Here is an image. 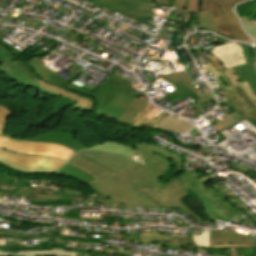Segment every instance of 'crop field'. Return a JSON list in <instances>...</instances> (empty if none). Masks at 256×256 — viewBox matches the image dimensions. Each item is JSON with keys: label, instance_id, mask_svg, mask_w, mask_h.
Wrapping results in <instances>:
<instances>
[{"label": "crop field", "instance_id": "b54c1fbb", "mask_svg": "<svg viewBox=\"0 0 256 256\" xmlns=\"http://www.w3.org/2000/svg\"><path fill=\"white\" fill-rule=\"evenodd\" d=\"M70 31H72V29H70V28H68V30L67 31H65V33H69Z\"/></svg>", "mask_w": 256, "mask_h": 256}, {"label": "crop field", "instance_id": "28ad6ade", "mask_svg": "<svg viewBox=\"0 0 256 256\" xmlns=\"http://www.w3.org/2000/svg\"><path fill=\"white\" fill-rule=\"evenodd\" d=\"M6 239H0V256H35L53 255V256H75L76 252L72 249H66L67 244L57 243L50 246L7 248L5 247Z\"/></svg>", "mask_w": 256, "mask_h": 256}, {"label": "crop field", "instance_id": "4177f3b9", "mask_svg": "<svg viewBox=\"0 0 256 256\" xmlns=\"http://www.w3.org/2000/svg\"><path fill=\"white\" fill-rule=\"evenodd\" d=\"M65 162L56 160L54 158H49L38 170L33 174H51L58 171Z\"/></svg>", "mask_w": 256, "mask_h": 256}, {"label": "crop field", "instance_id": "a9b5d70f", "mask_svg": "<svg viewBox=\"0 0 256 256\" xmlns=\"http://www.w3.org/2000/svg\"><path fill=\"white\" fill-rule=\"evenodd\" d=\"M198 30L218 32L210 10L198 13Z\"/></svg>", "mask_w": 256, "mask_h": 256}, {"label": "crop field", "instance_id": "03da06ac", "mask_svg": "<svg viewBox=\"0 0 256 256\" xmlns=\"http://www.w3.org/2000/svg\"><path fill=\"white\" fill-rule=\"evenodd\" d=\"M0 51L7 52V50H5L4 47H2L1 45H0Z\"/></svg>", "mask_w": 256, "mask_h": 256}, {"label": "crop field", "instance_id": "ae1a2a85", "mask_svg": "<svg viewBox=\"0 0 256 256\" xmlns=\"http://www.w3.org/2000/svg\"><path fill=\"white\" fill-rule=\"evenodd\" d=\"M209 231L207 229H204L202 234L199 236L191 235L195 245L200 247H209Z\"/></svg>", "mask_w": 256, "mask_h": 256}, {"label": "crop field", "instance_id": "d9b57169", "mask_svg": "<svg viewBox=\"0 0 256 256\" xmlns=\"http://www.w3.org/2000/svg\"><path fill=\"white\" fill-rule=\"evenodd\" d=\"M35 58L37 57H33L30 58L27 61V63L30 65V67L33 69V71L35 73H37L39 76H41L44 80L56 84V85H60L62 87H64L65 85H67L68 82H70L71 80H73L76 76H78L81 72H83V70L79 69L76 72L72 71L71 69H66L67 74L71 75L72 77L70 79H68L67 81L64 80L63 78L59 77L58 75H56L54 71L50 70L49 68H47L46 66L42 65L38 60H36Z\"/></svg>", "mask_w": 256, "mask_h": 256}, {"label": "crop field", "instance_id": "f4fd0767", "mask_svg": "<svg viewBox=\"0 0 256 256\" xmlns=\"http://www.w3.org/2000/svg\"><path fill=\"white\" fill-rule=\"evenodd\" d=\"M133 207H159L138 188L151 187L145 171L137 163L109 175Z\"/></svg>", "mask_w": 256, "mask_h": 256}, {"label": "crop field", "instance_id": "c035e120", "mask_svg": "<svg viewBox=\"0 0 256 256\" xmlns=\"http://www.w3.org/2000/svg\"><path fill=\"white\" fill-rule=\"evenodd\" d=\"M80 33H76V34H74L71 38H70V40L68 41L69 43H71V42H73L74 40H75V38L79 35Z\"/></svg>", "mask_w": 256, "mask_h": 256}, {"label": "crop field", "instance_id": "8a807250", "mask_svg": "<svg viewBox=\"0 0 256 256\" xmlns=\"http://www.w3.org/2000/svg\"><path fill=\"white\" fill-rule=\"evenodd\" d=\"M133 146L136 147L142 155L144 164L140 165L148 174L152 185L150 190H140L148 195L160 207H180L186 210L188 214L198 221L200 218L180 201L181 199L186 198L189 193L178 177L172 179L165 185L162 182H158V179L169 170V162L166 159L170 158L176 164L175 168L177 170L174 171L173 174H180L185 171L180 167L184 165V163L178 158L174 157L172 154L152 148L150 146L137 143Z\"/></svg>", "mask_w": 256, "mask_h": 256}, {"label": "crop field", "instance_id": "b80d0937", "mask_svg": "<svg viewBox=\"0 0 256 256\" xmlns=\"http://www.w3.org/2000/svg\"><path fill=\"white\" fill-rule=\"evenodd\" d=\"M158 2H164V3H166V4H169V5H171V6H173V0H157Z\"/></svg>", "mask_w": 256, "mask_h": 256}, {"label": "crop field", "instance_id": "5a996713", "mask_svg": "<svg viewBox=\"0 0 256 256\" xmlns=\"http://www.w3.org/2000/svg\"><path fill=\"white\" fill-rule=\"evenodd\" d=\"M244 0H202L201 11L211 9L219 33L240 40L252 42L241 29V26L231 10V6Z\"/></svg>", "mask_w": 256, "mask_h": 256}, {"label": "crop field", "instance_id": "22f410ed", "mask_svg": "<svg viewBox=\"0 0 256 256\" xmlns=\"http://www.w3.org/2000/svg\"><path fill=\"white\" fill-rule=\"evenodd\" d=\"M211 53L219 58L224 68L234 67L245 63L244 52L242 48L235 43L215 46Z\"/></svg>", "mask_w": 256, "mask_h": 256}, {"label": "crop field", "instance_id": "92a150f3", "mask_svg": "<svg viewBox=\"0 0 256 256\" xmlns=\"http://www.w3.org/2000/svg\"><path fill=\"white\" fill-rule=\"evenodd\" d=\"M147 105L148 102L134 99L125 110V112L122 114V116L119 118L118 122L127 123L132 126Z\"/></svg>", "mask_w": 256, "mask_h": 256}, {"label": "crop field", "instance_id": "34b2d1b8", "mask_svg": "<svg viewBox=\"0 0 256 256\" xmlns=\"http://www.w3.org/2000/svg\"><path fill=\"white\" fill-rule=\"evenodd\" d=\"M93 96L98 102L97 114L117 121L137 95L130 83L116 71Z\"/></svg>", "mask_w": 256, "mask_h": 256}, {"label": "crop field", "instance_id": "412701ff", "mask_svg": "<svg viewBox=\"0 0 256 256\" xmlns=\"http://www.w3.org/2000/svg\"><path fill=\"white\" fill-rule=\"evenodd\" d=\"M14 112L0 105V147L10 152L39 155V156H53L55 158L67 161L75 152L71 151L65 146L40 142H29L21 140H13L8 136L2 135L6 119Z\"/></svg>", "mask_w": 256, "mask_h": 256}, {"label": "crop field", "instance_id": "dafd665d", "mask_svg": "<svg viewBox=\"0 0 256 256\" xmlns=\"http://www.w3.org/2000/svg\"><path fill=\"white\" fill-rule=\"evenodd\" d=\"M90 150H97V151H104V152H108V153H112V154H119L122 156H127L130 157L133 155V152L135 151V149H133L132 147L126 146V145H122V144H118L115 142H105L102 144H97L93 147L88 148Z\"/></svg>", "mask_w": 256, "mask_h": 256}, {"label": "crop field", "instance_id": "e52e79f7", "mask_svg": "<svg viewBox=\"0 0 256 256\" xmlns=\"http://www.w3.org/2000/svg\"><path fill=\"white\" fill-rule=\"evenodd\" d=\"M187 190H191L199 200L203 203L204 213L212 220L218 217L225 219L226 222L232 213H236L235 208L225 201L212 186L206 188L201 180L192 176L191 173L185 171L179 175Z\"/></svg>", "mask_w": 256, "mask_h": 256}, {"label": "crop field", "instance_id": "d8731c3e", "mask_svg": "<svg viewBox=\"0 0 256 256\" xmlns=\"http://www.w3.org/2000/svg\"><path fill=\"white\" fill-rule=\"evenodd\" d=\"M68 162L85 169L98 179L135 163L127 158L90 151H80Z\"/></svg>", "mask_w": 256, "mask_h": 256}, {"label": "crop field", "instance_id": "bc2a9ffb", "mask_svg": "<svg viewBox=\"0 0 256 256\" xmlns=\"http://www.w3.org/2000/svg\"><path fill=\"white\" fill-rule=\"evenodd\" d=\"M29 141L57 143V144L65 145L76 152L79 149H87L75 140L73 134L67 133V132H55L51 134H45V135L37 136L33 139H29Z\"/></svg>", "mask_w": 256, "mask_h": 256}, {"label": "crop field", "instance_id": "120bbe31", "mask_svg": "<svg viewBox=\"0 0 256 256\" xmlns=\"http://www.w3.org/2000/svg\"><path fill=\"white\" fill-rule=\"evenodd\" d=\"M239 44V43H238ZM245 51V56H246V63L252 61L253 57V49L249 46L239 44Z\"/></svg>", "mask_w": 256, "mask_h": 256}, {"label": "crop field", "instance_id": "d32e631a", "mask_svg": "<svg viewBox=\"0 0 256 256\" xmlns=\"http://www.w3.org/2000/svg\"><path fill=\"white\" fill-rule=\"evenodd\" d=\"M168 95H169V96H167V97H168L169 99H171L172 101H173L174 99H176L178 96L181 97V98L184 99V100H185L187 97H189V96H187L186 94H184L182 91H180L179 89H177V90H175V91L169 93Z\"/></svg>", "mask_w": 256, "mask_h": 256}, {"label": "crop field", "instance_id": "0bd39190", "mask_svg": "<svg viewBox=\"0 0 256 256\" xmlns=\"http://www.w3.org/2000/svg\"><path fill=\"white\" fill-rule=\"evenodd\" d=\"M0 162H2V161H0ZM2 163H4V162H2ZM4 164H6V163H4ZM6 165H8V166H10V167H12V168H14V169H17V170L23 171V172H25V173H33L32 171L23 170V169H20V168H17V167L11 166V165H9V164H6Z\"/></svg>", "mask_w": 256, "mask_h": 256}, {"label": "crop field", "instance_id": "25e5ab78", "mask_svg": "<svg viewBox=\"0 0 256 256\" xmlns=\"http://www.w3.org/2000/svg\"><path fill=\"white\" fill-rule=\"evenodd\" d=\"M255 105H256V103H255Z\"/></svg>", "mask_w": 256, "mask_h": 256}, {"label": "crop field", "instance_id": "028f5c9d", "mask_svg": "<svg viewBox=\"0 0 256 256\" xmlns=\"http://www.w3.org/2000/svg\"><path fill=\"white\" fill-rule=\"evenodd\" d=\"M210 61L215 65V67L218 69V70H221V69H224L220 63V61L218 60V58L212 56V57H209Z\"/></svg>", "mask_w": 256, "mask_h": 256}, {"label": "crop field", "instance_id": "214f88e0", "mask_svg": "<svg viewBox=\"0 0 256 256\" xmlns=\"http://www.w3.org/2000/svg\"><path fill=\"white\" fill-rule=\"evenodd\" d=\"M192 127H194V126H192V125H190L172 115L167 116V118H164L160 122L151 126V128H154V129L179 132V133H183Z\"/></svg>", "mask_w": 256, "mask_h": 256}, {"label": "crop field", "instance_id": "5866460e", "mask_svg": "<svg viewBox=\"0 0 256 256\" xmlns=\"http://www.w3.org/2000/svg\"><path fill=\"white\" fill-rule=\"evenodd\" d=\"M18 25L34 29L38 25V23L29 20H20Z\"/></svg>", "mask_w": 256, "mask_h": 256}, {"label": "crop field", "instance_id": "eef30255", "mask_svg": "<svg viewBox=\"0 0 256 256\" xmlns=\"http://www.w3.org/2000/svg\"><path fill=\"white\" fill-rule=\"evenodd\" d=\"M179 82H181L182 84H184L185 86H187L188 88H190L191 90H193L194 92L197 93L196 89L194 88V86L192 85V83L190 82V80L188 79V77L182 78ZM198 94V93H197ZM198 100L197 103H195L194 105H192L191 107L194 108L195 106H197L198 104L204 102L207 105L210 104V100H212L211 96L209 94L204 95V96H198L196 97ZM191 108V109H192ZM190 110V109H189Z\"/></svg>", "mask_w": 256, "mask_h": 256}, {"label": "crop field", "instance_id": "5142ce71", "mask_svg": "<svg viewBox=\"0 0 256 256\" xmlns=\"http://www.w3.org/2000/svg\"><path fill=\"white\" fill-rule=\"evenodd\" d=\"M92 184L97 188V190L103 195L105 199H98L95 201L103 202V203H114L121 202L129 207L132 205L129 201L124 197V195L120 192L114 182H112L108 176L92 182Z\"/></svg>", "mask_w": 256, "mask_h": 256}, {"label": "crop field", "instance_id": "ac0d7876", "mask_svg": "<svg viewBox=\"0 0 256 256\" xmlns=\"http://www.w3.org/2000/svg\"><path fill=\"white\" fill-rule=\"evenodd\" d=\"M0 73L29 87L38 89L42 92L53 94L57 97H67L76 103L72 106L75 109L91 110L93 102L87 97H83L64 89L51 86L31 73L27 65L16 59L9 53L0 52Z\"/></svg>", "mask_w": 256, "mask_h": 256}, {"label": "crop field", "instance_id": "4a817a6b", "mask_svg": "<svg viewBox=\"0 0 256 256\" xmlns=\"http://www.w3.org/2000/svg\"><path fill=\"white\" fill-rule=\"evenodd\" d=\"M140 241L143 243H158V244H169L174 246H187L194 247L195 245L191 238H173L171 234L159 233V232H146L139 235ZM156 240V242H152ZM196 249V248H195Z\"/></svg>", "mask_w": 256, "mask_h": 256}, {"label": "crop field", "instance_id": "cbeb9de0", "mask_svg": "<svg viewBox=\"0 0 256 256\" xmlns=\"http://www.w3.org/2000/svg\"><path fill=\"white\" fill-rule=\"evenodd\" d=\"M221 72L230 85L248 81L251 88L256 93V68L253 62L242 66L225 69Z\"/></svg>", "mask_w": 256, "mask_h": 256}, {"label": "crop field", "instance_id": "750c4746", "mask_svg": "<svg viewBox=\"0 0 256 256\" xmlns=\"http://www.w3.org/2000/svg\"><path fill=\"white\" fill-rule=\"evenodd\" d=\"M243 25L245 27V29L247 30V32L253 36L254 38H256V23L249 21L247 19H242ZM255 49V65H256V47H254Z\"/></svg>", "mask_w": 256, "mask_h": 256}, {"label": "crop field", "instance_id": "e1f06a70", "mask_svg": "<svg viewBox=\"0 0 256 256\" xmlns=\"http://www.w3.org/2000/svg\"><path fill=\"white\" fill-rule=\"evenodd\" d=\"M4 36H5V34H3V33L0 32V41H1L5 46H7L13 53H15L17 56H19V55H20V54H18L19 52L17 53L15 49H13V48H12L11 46H9L7 43H5L4 41L1 40ZM21 58H23V59L26 60V58H24L22 55H21Z\"/></svg>", "mask_w": 256, "mask_h": 256}, {"label": "crop field", "instance_id": "00972430", "mask_svg": "<svg viewBox=\"0 0 256 256\" xmlns=\"http://www.w3.org/2000/svg\"><path fill=\"white\" fill-rule=\"evenodd\" d=\"M56 173L68 175L86 184L96 180L89 173L67 163Z\"/></svg>", "mask_w": 256, "mask_h": 256}, {"label": "crop field", "instance_id": "5d738f31", "mask_svg": "<svg viewBox=\"0 0 256 256\" xmlns=\"http://www.w3.org/2000/svg\"><path fill=\"white\" fill-rule=\"evenodd\" d=\"M12 14H13V13L9 12L7 16H8V17H11V16H12Z\"/></svg>", "mask_w": 256, "mask_h": 256}, {"label": "crop field", "instance_id": "bd1437ed", "mask_svg": "<svg viewBox=\"0 0 256 256\" xmlns=\"http://www.w3.org/2000/svg\"><path fill=\"white\" fill-rule=\"evenodd\" d=\"M0 235H7V236H31V235H21V234H16V233H11L7 231L0 230ZM32 239H60L62 240L63 238H58V237H48V236H32Z\"/></svg>", "mask_w": 256, "mask_h": 256}, {"label": "crop field", "instance_id": "d1516ede", "mask_svg": "<svg viewBox=\"0 0 256 256\" xmlns=\"http://www.w3.org/2000/svg\"><path fill=\"white\" fill-rule=\"evenodd\" d=\"M256 245L248 238L231 231H211L210 248H252Z\"/></svg>", "mask_w": 256, "mask_h": 256}, {"label": "crop field", "instance_id": "c21b1889", "mask_svg": "<svg viewBox=\"0 0 256 256\" xmlns=\"http://www.w3.org/2000/svg\"><path fill=\"white\" fill-rule=\"evenodd\" d=\"M135 1H140V2H145V3H152L151 0H135Z\"/></svg>", "mask_w": 256, "mask_h": 256}, {"label": "crop field", "instance_id": "73cf0c24", "mask_svg": "<svg viewBox=\"0 0 256 256\" xmlns=\"http://www.w3.org/2000/svg\"><path fill=\"white\" fill-rule=\"evenodd\" d=\"M155 1V0H154Z\"/></svg>", "mask_w": 256, "mask_h": 256}, {"label": "crop field", "instance_id": "3316defc", "mask_svg": "<svg viewBox=\"0 0 256 256\" xmlns=\"http://www.w3.org/2000/svg\"><path fill=\"white\" fill-rule=\"evenodd\" d=\"M127 17L146 19L153 17V5L130 0H86Z\"/></svg>", "mask_w": 256, "mask_h": 256}, {"label": "crop field", "instance_id": "730fd06b", "mask_svg": "<svg viewBox=\"0 0 256 256\" xmlns=\"http://www.w3.org/2000/svg\"><path fill=\"white\" fill-rule=\"evenodd\" d=\"M175 8L187 10L186 13L199 12L200 0H175Z\"/></svg>", "mask_w": 256, "mask_h": 256}, {"label": "crop field", "instance_id": "1d83c4d3", "mask_svg": "<svg viewBox=\"0 0 256 256\" xmlns=\"http://www.w3.org/2000/svg\"><path fill=\"white\" fill-rule=\"evenodd\" d=\"M166 113L164 112H161V114L153 119V120H149V119H146L144 118V120L142 121V123L138 126V127H150L151 125H153L154 123L158 122L159 120H161L162 118H164L163 116L165 115Z\"/></svg>", "mask_w": 256, "mask_h": 256}, {"label": "crop field", "instance_id": "425ffa30", "mask_svg": "<svg viewBox=\"0 0 256 256\" xmlns=\"http://www.w3.org/2000/svg\"><path fill=\"white\" fill-rule=\"evenodd\" d=\"M208 93V92H207ZM203 94H205V93H203ZM212 95V94H211ZM213 96V95H212ZM214 97V96H213Z\"/></svg>", "mask_w": 256, "mask_h": 256}, {"label": "crop field", "instance_id": "dd49c442", "mask_svg": "<svg viewBox=\"0 0 256 256\" xmlns=\"http://www.w3.org/2000/svg\"><path fill=\"white\" fill-rule=\"evenodd\" d=\"M212 71L220 86L226 93V99L222 103L249 121V118L256 120V94L250 88L248 82L230 86L220 71H217L212 63L205 67V73ZM254 124V123H253Z\"/></svg>", "mask_w": 256, "mask_h": 256}, {"label": "crop field", "instance_id": "733c2abd", "mask_svg": "<svg viewBox=\"0 0 256 256\" xmlns=\"http://www.w3.org/2000/svg\"><path fill=\"white\" fill-rule=\"evenodd\" d=\"M0 159L14 166L32 171L38 169L47 160L46 157L21 156L1 150Z\"/></svg>", "mask_w": 256, "mask_h": 256}, {"label": "crop field", "instance_id": "d23c7cc5", "mask_svg": "<svg viewBox=\"0 0 256 256\" xmlns=\"http://www.w3.org/2000/svg\"><path fill=\"white\" fill-rule=\"evenodd\" d=\"M3 2V0H0V4Z\"/></svg>", "mask_w": 256, "mask_h": 256}, {"label": "crop field", "instance_id": "d3111659", "mask_svg": "<svg viewBox=\"0 0 256 256\" xmlns=\"http://www.w3.org/2000/svg\"><path fill=\"white\" fill-rule=\"evenodd\" d=\"M217 110H219V109H217ZM219 111L222 112V113H224V112L221 111V110H219ZM224 114H225V116H226L227 118L224 119V121H222V122H221L219 119H216L215 117H213L211 114L209 115V116H211L212 118H214L215 120H217V121L220 122L219 124H217V125H215L214 127H212V128H214V129H216L217 132H219V131H221V130L227 128L228 126H230V125L236 123V121H235L233 118H231V117H230L229 115H227L226 113H224Z\"/></svg>", "mask_w": 256, "mask_h": 256}]
</instances>
